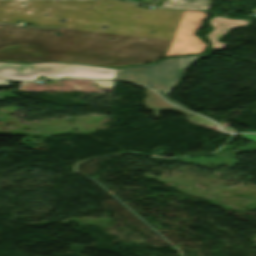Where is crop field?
Returning a JSON list of instances; mask_svg holds the SVG:
<instances>
[{
    "instance_id": "crop-field-1",
    "label": "crop field",
    "mask_w": 256,
    "mask_h": 256,
    "mask_svg": "<svg viewBox=\"0 0 256 256\" xmlns=\"http://www.w3.org/2000/svg\"><path fill=\"white\" fill-rule=\"evenodd\" d=\"M0 25V60L17 62L63 61L101 66L146 63L164 57L170 42L77 29L74 35L57 37L54 32L60 29L23 30Z\"/></svg>"
},
{
    "instance_id": "crop-field-5",
    "label": "crop field",
    "mask_w": 256,
    "mask_h": 256,
    "mask_svg": "<svg viewBox=\"0 0 256 256\" xmlns=\"http://www.w3.org/2000/svg\"><path fill=\"white\" fill-rule=\"evenodd\" d=\"M207 16L204 12L184 11L167 56L200 53L205 44L193 32L200 28L201 21Z\"/></svg>"
},
{
    "instance_id": "crop-field-7",
    "label": "crop field",
    "mask_w": 256,
    "mask_h": 256,
    "mask_svg": "<svg viewBox=\"0 0 256 256\" xmlns=\"http://www.w3.org/2000/svg\"><path fill=\"white\" fill-rule=\"evenodd\" d=\"M148 94V98L145 99L146 107L148 110H152L155 113V116L157 119H160V112L163 110H173L182 114H185L187 116L193 115L189 112H186L184 110L178 109L164 101H162L154 92L151 90H146Z\"/></svg>"
},
{
    "instance_id": "crop-field-6",
    "label": "crop field",
    "mask_w": 256,
    "mask_h": 256,
    "mask_svg": "<svg viewBox=\"0 0 256 256\" xmlns=\"http://www.w3.org/2000/svg\"><path fill=\"white\" fill-rule=\"evenodd\" d=\"M213 31L209 33L207 39H209L212 43L211 50L219 49L221 47L226 46L221 42H217L220 37L225 35L228 31L234 28L244 27L248 24V21H240V20H232V19H224L215 16L213 19L209 20Z\"/></svg>"
},
{
    "instance_id": "crop-field-4",
    "label": "crop field",
    "mask_w": 256,
    "mask_h": 256,
    "mask_svg": "<svg viewBox=\"0 0 256 256\" xmlns=\"http://www.w3.org/2000/svg\"><path fill=\"white\" fill-rule=\"evenodd\" d=\"M115 71L116 69L76 64L0 63V77L18 80H35L38 78V76H43L46 79L58 77L114 79Z\"/></svg>"
},
{
    "instance_id": "crop-field-8",
    "label": "crop field",
    "mask_w": 256,
    "mask_h": 256,
    "mask_svg": "<svg viewBox=\"0 0 256 256\" xmlns=\"http://www.w3.org/2000/svg\"><path fill=\"white\" fill-rule=\"evenodd\" d=\"M170 1L171 4L167 2ZM212 0H166L161 7L191 10H208Z\"/></svg>"
},
{
    "instance_id": "crop-field-9",
    "label": "crop field",
    "mask_w": 256,
    "mask_h": 256,
    "mask_svg": "<svg viewBox=\"0 0 256 256\" xmlns=\"http://www.w3.org/2000/svg\"><path fill=\"white\" fill-rule=\"evenodd\" d=\"M75 31V29H72V28H65V29H61V33L62 34H73Z\"/></svg>"
},
{
    "instance_id": "crop-field-10",
    "label": "crop field",
    "mask_w": 256,
    "mask_h": 256,
    "mask_svg": "<svg viewBox=\"0 0 256 256\" xmlns=\"http://www.w3.org/2000/svg\"><path fill=\"white\" fill-rule=\"evenodd\" d=\"M0 85H9V81H7V80H0Z\"/></svg>"
},
{
    "instance_id": "crop-field-3",
    "label": "crop field",
    "mask_w": 256,
    "mask_h": 256,
    "mask_svg": "<svg viewBox=\"0 0 256 256\" xmlns=\"http://www.w3.org/2000/svg\"><path fill=\"white\" fill-rule=\"evenodd\" d=\"M205 54V53H204ZM212 52L205 55L186 56L171 60H164L160 63L118 69L116 79L130 80L139 84L149 86L158 91L170 103L183 107L168 96L183 78L184 71L189 69L199 59L208 58ZM187 109L186 107H183Z\"/></svg>"
},
{
    "instance_id": "crop-field-2",
    "label": "crop field",
    "mask_w": 256,
    "mask_h": 256,
    "mask_svg": "<svg viewBox=\"0 0 256 256\" xmlns=\"http://www.w3.org/2000/svg\"><path fill=\"white\" fill-rule=\"evenodd\" d=\"M181 12L148 10L118 0H0V22L3 23L14 24L20 20L33 27H72L167 40L171 39ZM60 19L66 22L59 23ZM103 25L107 26L106 30H101Z\"/></svg>"
}]
</instances>
